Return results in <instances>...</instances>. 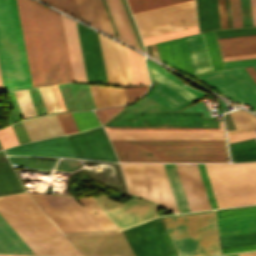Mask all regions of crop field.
<instances>
[{"label":"crop field","instance_id":"crop-field-1","mask_svg":"<svg viewBox=\"0 0 256 256\" xmlns=\"http://www.w3.org/2000/svg\"><path fill=\"white\" fill-rule=\"evenodd\" d=\"M177 256L220 254L214 211L160 218ZM160 219L119 231L134 256H175ZM119 232L66 235L84 256H132Z\"/></svg>","mask_w":256,"mask_h":256},{"label":"crop field","instance_id":"crop-field-2","mask_svg":"<svg viewBox=\"0 0 256 256\" xmlns=\"http://www.w3.org/2000/svg\"><path fill=\"white\" fill-rule=\"evenodd\" d=\"M33 87L73 81L61 14L16 0Z\"/></svg>","mask_w":256,"mask_h":256},{"label":"crop field","instance_id":"crop-field-3","mask_svg":"<svg viewBox=\"0 0 256 256\" xmlns=\"http://www.w3.org/2000/svg\"><path fill=\"white\" fill-rule=\"evenodd\" d=\"M105 125L223 127L222 121L191 111H123ZM103 127L109 139L225 140L223 128Z\"/></svg>","mask_w":256,"mask_h":256},{"label":"crop field","instance_id":"crop-field-4","mask_svg":"<svg viewBox=\"0 0 256 256\" xmlns=\"http://www.w3.org/2000/svg\"><path fill=\"white\" fill-rule=\"evenodd\" d=\"M0 214L35 254L81 256L27 193L0 197Z\"/></svg>","mask_w":256,"mask_h":256},{"label":"crop field","instance_id":"crop-field-5","mask_svg":"<svg viewBox=\"0 0 256 256\" xmlns=\"http://www.w3.org/2000/svg\"><path fill=\"white\" fill-rule=\"evenodd\" d=\"M120 162H226L225 141L110 140Z\"/></svg>","mask_w":256,"mask_h":256},{"label":"crop field","instance_id":"crop-field-6","mask_svg":"<svg viewBox=\"0 0 256 256\" xmlns=\"http://www.w3.org/2000/svg\"><path fill=\"white\" fill-rule=\"evenodd\" d=\"M0 71V91L32 87L15 0H0Z\"/></svg>","mask_w":256,"mask_h":256},{"label":"crop field","instance_id":"crop-field-7","mask_svg":"<svg viewBox=\"0 0 256 256\" xmlns=\"http://www.w3.org/2000/svg\"><path fill=\"white\" fill-rule=\"evenodd\" d=\"M188 0H127L132 13ZM142 38L197 25L194 0L132 14Z\"/></svg>","mask_w":256,"mask_h":256},{"label":"crop field","instance_id":"crop-field-8","mask_svg":"<svg viewBox=\"0 0 256 256\" xmlns=\"http://www.w3.org/2000/svg\"><path fill=\"white\" fill-rule=\"evenodd\" d=\"M204 165L218 208L256 203V162Z\"/></svg>","mask_w":256,"mask_h":256},{"label":"crop field","instance_id":"crop-field-9","mask_svg":"<svg viewBox=\"0 0 256 256\" xmlns=\"http://www.w3.org/2000/svg\"><path fill=\"white\" fill-rule=\"evenodd\" d=\"M117 39L143 51L125 0H102ZM101 0H76L83 20L114 36Z\"/></svg>","mask_w":256,"mask_h":256},{"label":"crop field","instance_id":"crop-field-10","mask_svg":"<svg viewBox=\"0 0 256 256\" xmlns=\"http://www.w3.org/2000/svg\"><path fill=\"white\" fill-rule=\"evenodd\" d=\"M120 165L130 193L178 213L162 164Z\"/></svg>","mask_w":256,"mask_h":256},{"label":"crop field","instance_id":"crop-field-11","mask_svg":"<svg viewBox=\"0 0 256 256\" xmlns=\"http://www.w3.org/2000/svg\"><path fill=\"white\" fill-rule=\"evenodd\" d=\"M29 194L63 233L103 230L74 197Z\"/></svg>","mask_w":256,"mask_h":256},{"label":"crop field","instance_id":"crop-field-12","mask_svg":"<svg viewBox=\"0 0 256 256\" xmlns=\"http://www.w3.org/2000/svg\"><path fill=\"white\" fill-rule=\"evenodd\" d=\"M198 78L220 90L231 99L243 104L248 103L256 110V83L245 68L223 70Z\"/></svg>","mask_w":256,"mask_h":256},{"label":"crop field","instance_id":"crop-field-13","mask_svg":"<svg viewBox=\"0 0 256 256\" xmlns=\"http://www.w3.org/2000/svg\"><path fill=\"white\" fill-rule=\"evenodd\" d=\"M92 199L119 229L157 216L158 214V205L137 198H132L131 201L124 204L109 200L104 194L92 197Z\"/></svg>","mask_w":256,"mask_h":256},{"label":"crop field","instance_id":"crop-field-14","mask_svg":"<svg viewBox=\"0 0 256 256\" xmlns=\"http://www.w3.org/2000/svg\"><path fill=\"white\" fill-rule=\"evenodd\" d=\"M66 139L75 158L117 162L101 127L68 135Z\"/></svg>","mask_w":256,"mask_h":256},{"label":"crop field","instance_id":"crop-field-15","mask_svg":"<svg viewBox=\"0 0 256 256\" xmlns=\"http://www.w3.org/2000/svg\"><path fill=\"white\" fill-rule=\"evenodd\" d=\"M98 35L108 84L132 85L125 47Z\"/></svg>","mask_w":256,"mask_h":256},{"label":"crop field","instance_id":"crop-field-16","mask_svg":"<svg viewBox=\"0 0 256 256\" xmlns=\"http://www.w3.org/2000/svg\"><path fill=\"white\" fill-rule=\"evenodd\" d=\"M76 24L88 82L107 84L97 33Z\"/></svg>","mask_w":256,"mask_h":256},{"label":"crop field","instance_id":"crop-field-17","mask_svg":"<svg viewBox=\"0 0 256 256\" xmlns=\"http://www.w3.org/2000/svg\"><path fill=\"white\" fill-rule=\"evenodd\" d=\"M190 210L211 209L196 164H175Z\"/></svg>","mask_w":256,"mask_h":256},{"label":"crop field","instance_id":"crop-field-18","mask_svg":"<svg viewBox=\"0 0 256 256\" xmlns=\"http://www.w3.org/2000/svg\"><path fill=\"white\" fill-rule=\"evenodd\" d=\"M7 155H42L74 158L64 136L5 149Z\"/></svg>","mask_w":256,"mask_h":256},{"label":"crop field","instance_id":"crop-field-19","mask_svg":"<svg viewBox=\"0 0 256 256\" xmlns=\"http://www.w3.org/2000/svg\"><path fill=\"white\" fill-rule=\"evenodd\" d=\"M156 45L162 62L195 77L184 38Z\"/></svg>","mask_w":256,"mask_h":256},{"label":"crop field","instance_id":"crop-field-20","mask_svg":"<svg viewBox=\"0 0 256 256\" xmlns=\"http://www.w3.org/2000/svg\"><path fill=\"white\" fill-rule=\"evenodd\" d=\"M62 18L73 72V78L75 81L86 82L76 24L74 21L64 16H62Z\"/></svg>","mask_w":256,"mask_h":256},{"label":"crop field","instance_id":"crop-field-21","mask_svg":"<svg viewBox=\"0 0 256 256\" xmlns=\"http://www.w3.org/2000/svg\"><path fill=\"white\" fill-rule=\"evenodd\" d=\"M31 141L64 134L55 115L22 120Z\"/></svg>","mask_w":256,"mask_h":256},{"label":"crop field","instance_id":"crop-field-22","mask_svg":"<svg viewBox=\"0 0 256 256\" xmlns=\"http://www.w3.org/2000/svg\"><path fill=\"white\" fill-rule=\"evenodd\" d=\"M186 43L190 53L195 75L212 72V66L208 56L203 34L186 37Z\"/></svg>","mask_w":256,"mask_h":256},{"label":"crop field","instance_id":"crop-field-23","mask_svg":"<svg viewBox=\"0 0 256 256\" xmlns=\"http://www.w3.org/2000/svg\"><path fill=\"white\" fill-rule=\"evenodd\" d=\"M146 63L151 77L168 86L169 88L173 89L174 91L186 97L187 99L193 101L205 95L204 93L195 91L187 87L186 85L184 86L176 77H174L168 72L166 73L164 69L154 64L152 61L146 60Z\"/></svg>","mask_w":256,"mask_h":256},{"label":"crop field","instance_id":"crop-field-24","mask_svg":"<svg viewBox=\"0 0 256 256\" xmlns=\"http://www.w3.org/2000/svg\"><path fill=\"white\" fill-rule=\"evenodd\" d=\"M0 253L34 254L1 215Z\"/></svg>","mask_w":256,"mask_h":256},{"label":"crop field","instance_id":"crop-field-25","mask_svg":"<svg viewBox=\"0 0 256 256\" xmlns=\"http://www.w3.org/2000/svg\"><path fill=\"white\" fill-rule=\"evenodd\" d=\"M88 86L97 109L127 103L123 88Z\"/></svg>","mask_w":256,"mask_h":256},{"label":"crop field","instance_id":"crop-field-26","mask_svg":"<svg viewBox=\"0 0 256 256\" xmlns=\"http://www.w3.org/2000/svg\"><path fill=\"white\" fill-rule=\"evenodd\" d=\"M220 47L256 44V35L217 39ZM223 57L256 54V45L220 48Z\"/></svg>","mask_w":256,"mask_h":256},{"label":"crop field","instance_id":"crop-field-27","mask_svg":"<svg viewBox=\"0 0 256 256\" xmlns=\"http://www.w3.org/2000/svg\"><path fill=\"white\" fill-rule=\"evenodd\" d=\"M200 32L220 29L217 0H196Z\"/></svg>","mask_w":256,"mask_h":256},{"label":"crop field","instance_id":"crop-field-28","mask_svg":"<svg viewBox=\"0 0 256 256\" xmlns=\"http://www.w3.org/2000/svg\"><path fill=\"white\" fill-rule=\"evenodd\" d=\"M243 27L256 26V0H240ZM239 0H230L233 28L242 27Z\"/></svg>","mask_w":256,"mask_h":256},{"label":"crop field","instance_id":"crop-field-29","mask_svg":"<svg viewBox=\"0 0 256 256\" xmlns=\"http://www.w3.org/2000/svg\"><path fill=\"white\" fill-rule=\"evenodd\" d=\"M146 96L169 109H179L191 102L160 83L152 88Z\"/></svg>","mask_w":256,"mask_h":256},{"label":"crop field","instance_id":"crop-field-30","mask_svg":"<svg viewBox=\"0 0 256 256\" xmlns=\"http://www.w3.org/2000/svg\"><path fill=\"white\" fill-rule=\"evenodd\" d=\"M219 235L256 231V215L217 220Z\"/></svg>","mask_w":256,"mask_h":256},{"label":"crop field","instance_id":"crop-field-31","mask_svg":"<svg viewBox=\"0 0 256 256\" xmlns=\"http://www.w3.org/2000/svg\"><path fill=\"white\" fill-rule=\"evenodd\" d=\"M24 191L3 151H0V195Z\"/></svg>","mask_w":256,"mask_h":256},{"label":"crop field","instance_id":"crop-field-32","mask_svg":"<svg viewBox=\"0 0 256 256\" xmlns=\"http://www.w3.org/2000/svg\"><path fill=\"white\" fill-rule=\"evenodd\" d=\"M179 213L188 212L189 207L174 164H163Z\"/></svg>","mask_w":256,"mask_h":256},{"label":"crop field","instance_id":"crop-field-33","mask_svg":"<svg viewBox=\"0 0 256 256\" xmlns=\"http://www.w3.org/2000/svg\"><path fill=\"white\" fill-rule=\"evenodd\" d=\"M233 162L256 160V139L229 144Z\"/></svg>","mask_w":256,"mask_h":256},{"label":"crop field","instance_id":"crop-field-34","mask_svg":"<svg viewBox=\"0 0 256 256\" xmlns=\"http://www.w3.org/2000/svg\"><path fill=\"white\" fill-rule=\"evenodd\" d=\"M133 85L149 84L143 56L126 48Z\"/></svg>","mask_w":256,"mask_h":256},{"label":"crop field","instance_id":"crop-field-35","mask_svg":"<svg viewBox=\"0 0 256 256\" xmlns=\"http://www.w3.org/2000/svg\"><path fill=\"white\" fill-rule=\"evenodd\" d=\"M221 248L256 244V232L219 236Z\"/></svg>","mask_w":256,"mask_h":256},{"label":"crop field","instance_id":"crop-field-36","mask_svg":"<svg viewBox=\"0 0 256 256\" xmlns=\"http://www.w3.org/2000/svg\"><path fill=\"white\" fill-rule=\"evenodd\" d=\"M80 203L94 217L104 230L118 229L110 219L98 208L91 198H79ZM94 212L98 214L95 215Z\"/></svg>","mask_w":256,"mask_h":256},{"label":"crop field","instance_id":"crop-field-37","mask_svg":"<svg viewBox=\"0 0 256 256\" xmlns=\"http://www.w3.org/2000/svg\"><path fill=\"white\" fill-rule=\"evenodd\" d=\"M242 114H243V117L245 119V122L248 126H246L239 110L238 111H234V112H231L230 115L232 117V120L237 128V130H234V131H229L227 132V134L229 133H235V132H241V131H246V130H250V129H254L256 128V117L241 110Z\"/></svg>","mask_w":256,"mask_h":256},{"label":"crop field","instance_id":"crop-field-38","mask_svg":"<svg viewBox=\"0 0 256 256\" xmlns=\"http://www.w3.org/2000/svg\"><path fill=\"white\" fill-rule=\"evenodd\" d=\"M203 34H204V38L208 48L213 70L215 71V70L223 69L217 44L215 41L214 33L210 31V32H205Z\"/></svg>","mask_w":256,"mask_h":256},{"label":"crop field","instance_id":"crop-field-39","mask_svg":"<svg viewBox=\"0 0 256 256\" xmlns=\"http://www.w3.org/2000/svg\"><path fill=\"white\" fill-rule=\"evenodd\" d=\"M71 114L79 131L100 125L91 111L75 112Z\"/></svg>","mask_w":256,"mask_h":256},{"label":"crop field","instance_id":"crop-field-40","mask_svg":"<svg viewBox=\"0 0 256 256\" xmlns=\"http://www.w3.org/2000/svg\"><path fill=\"white\" fill-rule=\"evenodd\" d=\"M41 1L82 20L74 0H41Z\"/></svg>","mask_w":256,"mask_h":256},{"label":"crop field","instance_id":"crop-field-41","mask_svg":"<svg viewBox=\"0 0 256 256\" xmlns=\"http://www.w3.org/2000/svg\"><path fill=\"white\" fill-rule=\"evenodd\" d=\"M39 90L48 113L62 111L53 87Z\"/></svg>","mask_w":256,"mask_h":256},{"label":"crop field","instance_id":"crop-field-42","mask_svg":"<svg viewBox=\"0 0 256 256\" xmlns=\"http://www.w3.org/2000/svg\"><path fill=\"white\" fill-rule=\"evenodd\" d=\"M20 106L23 117L34 116L35 111L27 90L14 92Z\"/></svg>","mask_w":256,"mask_h":256},{"label":"crop field","instance_id":"crop-field-43","mask_svg":"<svg viewBox=\"0 0 256 256\" xmlns=\"http://www.w3.org/2000/svg\"><path fill=\"white\" fill-rule=\"evenodd\" d=\"M195 33H198L197 26L192 27V28H188V29L177 30V31L167 33V34H162V35H158V36L144 38L142 40H143L144 44H147V43H152V42H157V41H161V40L181 37V36L195 34Z\"/></svg>","mask_w":256,"mask_h":256},{"label":"crop field","instance_id":"crop-field-44","mask_svg":"<svg viewBox=\"0 0 256 256\" xmlns=\"http://www.w3.org/2000/svg\"><path fill=\"white\" fill-rule=\"evenodd\" d=\"M254 214H256V206L216 211L217 219Z\"/></svg>","mask_w":256,"mask_h":256},{"label":"crop field","instance_id":"crop-field-45","mask_svg":"<svg viewBox=\"0 0 256 256\" xmlns=\"http://www.w3.org/2000/svg\"><path fill=\"white\" fill-rule=\"evenodd\" d=\"M221 29L232 28L229 0H218Z\"/></svg>","mask_w":256,"mask_h":256},{"label":"crop field","instance_id":"crop-field-46","mask_svg":"<svg viewBox=\"0 0 256 256\" xmlns=\"http://www.w3.org/2000/svg\"><path fill=\"white\" fill-rule=\"evenodd\" d=\"M65 134L77 132V128L70 113L56 115Z\"/></svg>","mask_w":256,"mask_h":256},{"label":"crop field","instance_id":"crop-field-47","mask_svg":"<svg viewBox=\"0 0 256 256\" xmlns=\"http://www.w3.org/2000/svg\"><path fill=\"white\" fill-rule=\"evenodd\" d=\"M0 141L4 148L19 144L10 126L0 130Z\"/></svg>","mask_w":256,"mask_h":256},{"label":"crop field","instance_id":"crop-field-48","mask_svg":"<svg viewBox=\"0 0 256 256\" xmlns=\"http://www.w3.org/2000/svg\"><path fill=\"white\" fill-rule=\"evenodd\" d=\"M215 33H216L217 38L241 36V35H251V34H256V27L255 28H245V29L215 31Z\"/></svg>","mask_w":256,"mask_h":256},{"label":"crop field","instance_id":"crop-field-49","mask_svg":"<svg viewBox=\"0 0 256 256\" xmlns=\"http://www.w3.org/2000/svg\"><path fill=\"white\" fill-rule=\"evenodd\" d=\"M197 165H198V168H199V171H200V174H201L204 186H205V190H206V193H207V196H208L211 208L212 209L213 208H217L216 204H215V201H214V197H213L211 188H210V184H209L206 172H205L204 165L203 164H197Z\"/></svg>","mask_w":256,"mask_h":256},{"label":"crop field","instance_id":"crop-field-50","mask_svg":"<svg viewBox=\"0 0 256 256\" xmlns=\"http://www.w3.org/2000/svg\"><path fill=\"white\" fill-rule=\"evenodd\" d=\"M123 107H115V108H108V109H100L95 110L100 122L104 124L107 122L111 117H113L115 114H117L120 110H122Z\"/></svg>","mask_w":256,"mask_h":256},{"label":"crop field","instance_id":"crop-field-51","mask_svg":"<svg viewBox=\"0 0 256 256\" xmlns=\"http://www.w3.org/2000/svg\"><path fill=\"white\" fill-rule=\"evenodd\" d=\"M227 136H228L229 143H231L235 141L251 139L253 137H256V132L255 130H252V131H246L241 133L229 134Z\"/></svg>","mask_w":256,"mask_h":256},{"label":"crop field","instance_id":"crop-field-52","mask_svg":"<svg viewBox=\"0 0 256 256\" xmlns=\"http://www.w3.org/2000/svg\"><path fill=\"white\" fill-rule=\"evenodd\" d=\"M146 88H147V86L124 88L126 97H127V101L129 102V101L135 99L136 97L140 96L146 90Z\"/></svg>","mask_w":256,"mask_h":256},{"label":"crop field","instance_id":"crop-field-53","mask_svg":"<svg viewBox=\"0 0 256 256\" xmlns=\"http://www.w3.org/2000/svg\"><path fill=\"white\" fill-rule=\"evenodd\" d=\"M226 68L256 65V59L224 62Z\"/></svg>","mask_w":256,"mask_h":256},{"label":"crop field","instance_id":"crop-field-54","mask_svg":"<svg viewBox=\"0 0 256 256\" xmlns=\"http://www.w3.org/2000/svg\"><path fill=\"white\" fill-rule=\"evenodd\" d=\"M256 250V245L221 249L222 254Z\"/></svg>","mask_w":256,"mask_h":256},{"label":"crop field","instance_id":"crop-field-55","mask_svg":"<svg viewBox=\"0 0 256 256\" xmlns=\"http://www.w3.org/2000/svg\"><path fill=\"white\" fill-rule=\"evenodd\" d=\"M248 58H256V55L228 57V58H223V60L228 61V60H238V59H248Z\"/></svg>","mask_w":256,"mask_h":256},{"label":"crop field","instance_id":"crop-field-56","mask_svg":"<svg viewBox=\"0 0 256 256\" xmlns=\"http://www.w3.org/2000/svg\"><path fill=\"white\" fill-rule=\"evenodd\" d=\"M54 87H55V90H56V93H57L58 99H59V101H60V104H61L62 110H63V111H66V110H65V107H64V104H63V101H62V98H61V95H60V93H59L58 87H57V86H54Z\"/></svg>","mask_w":256,"mask_h":256},{"label":"crop field","instance_id":"crop-field-57","mask_svg":"<svg viewBox=\"0 0 256 256\" xmlns=\"http://www.w3.org/2000/svg\"><path fill=\"white\" fill-rule=\"evenodd\" d=\"M246 70L249 72V74L252 76V78L256 82V71L253 69V67H248L246 68Z\"/></svg>","mask_w":256,"mask_h":256},{"label":"crop field","instance_id":"crop-field-58","mask_svg":"<svg viewBox=\"0 0 256 256\" xmlns=\"http://www.w3.org/2000/svg\"><path fill=\"white\" fill-rule=\"evenodd\" d=\"M239 256H256V252L239 254Z\"/></svg>","mask_w":256,"mask_h":256},{"label":"crop field","instance_id":"crop-field-59","mask_svg":"<svg viewBox=\"0 0 256 256\" xmlns=\"http://www.w3.org/2000/svg\"><path fill=\"white\" fill-rule=\"evenodd\" d=\"M217 101L219 102V104H220L221 108H223V107H224L225 112H227L228 110H227V108H226V106H225L224 102L219 101V100H217Z\"/></svg>","mask_w":256,"mask_h":256},{"label":"crop field","instance_id":"crop-field-60","mask_svg":"<svg viewBox=\"0 0 256 256\" xmlns=\"http://www.w3.org/2000/svg\"><path fill=\"white\" fill-rule=\"evenodd\" d=\"M224 256H237V254H232V255H224Z\"/></svg>","mask_w":256,"mask_h":256},{"label":"crop field","instance_id":"crop-field-61","mask_svg":"<svg viewBox=\"0 0 256 256\" xmlns=\"http://www.w3.org/2000/svg\"><path fill=\"white\" fill-rule=\"evenodd\" d=\"M0 256H8V255H0Z\"/></svg>","mask_w":256,"mask_h":256},{"label":"crop field","instance_id":"crop-field-62","mask_svg":"<svg viewBox=\"0 0 256 256\" xmlns=\"http://www.w3.org/2000/svg\"><path fill=\"white\" fill-rule=\"evenodd\" d=\"M0 149H2V146H1V144H0Z\"/></svg>","mask_w":256,"mask_h":256}]
</instances>
